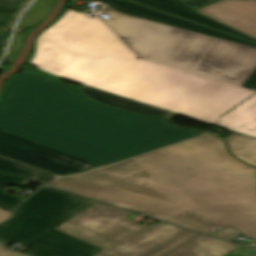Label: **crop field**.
<instances>
[{
    "label": "crop field",
    "mask_w": 256,
    "mask_h": 256,
    "mask_svg": "<svg viewBox=\"0 0 256 256\" xmlns=\"http://www.w3.org/2000/svg\"><path fill=\"white\" fill-rule=\"evenodd\" d=\"M0 172L13 176L46 183L53 177L13 161L0 157Z\"/></svg>",
    "instance_id": "22f410ed"
},
{
    "label": "crop field",
    "mask_w": 256,
    "mask_h": 256,
    "mask_svg": "<svg viewBox=\"0 0 256 256\" xmlns=\"http://www.w3.org/2000/svg\"><path fill=\"white\" fill-rule=\"evenodd\" d=\"M0 256H24V255L13 253L5 249L2 245H0Z\"/></svg>",
    "instance_id": "92a150f3"
},
{
    "label": "crop field",
    "mask_w": 256,
    "mask_h": 256,
    "mask_svg": "<svg viewBox=\"0 0 256 256\" xmlns=\"http://www.w3.org/2000/svg\"><path fill=\"white\" fill-rule=\"evenodd\" d=\"M102 22L139 58L241 86L256 67V48L120 14L108 5Z\"/></svg>",
    "instance_id": "412701ff"
},
{
    "label": "crop field",
    "mask_w": 256,
    "mask_h": 256,
    "mask_svg": "<svg viewBox=\"0 0 256 256\" xmlns=\"http://www.w3.org/2000/svg\"><path fill=\"white\" fill-rule=\"evenodd\" d=\"M131 212L96 204L56 229L98 246L95 256H224L238 246L164 223L143 227Z\"/></svg>",
    "instance_id": "f4fd0767"
},
{
    "label": "crop field",
    "mask_w": 256,
    "mask_h": 256,
    "mask_svg": "<svg viewBox=\"0 0 256 256\" xmlns=\"http://www.w3.org/2000/svg\"><path fill=\"white\" fill-rule=\"evenodd\" d=\"M28 64L210 124L255 93L141 61L98 19L69 9L38 35Z\"/></svg>",
    "instance_id": "34b2d1b8"
},
{
    "label": "crop field",
    "mask_w": 256,
    "mask_h": 256,
    "mask_svg": "<svg viewBox=\"0 0 256 256\" xmlns=\"http://www.w3.org/2000/svg\"><path fill=\"white\" fill-rule=\"evenodd\" d=\"M202 133L83 98L77 89L23 71L0 105V155L56 175L112 164Z\"/></svg>",
    "instance_id": "ac0d7876"
},
{
    "label": "crop field",
    "mask_w": 256,
    "mask_h": 256,
    "mask_svg": "<svg viewBox=\"0 0 256 256\" xmlns=\"http://www.w3.org/2000/svg\"><path fill=\"white\" fill-rule=\"evenodd\" d=\"M196 12L256 39V0H222Z\"/></svg>",
    "instance_id": "d8731c3e"
},
{
    "label": "crop field",
    "mask_w": 256,
    "mask_h": 256,
    "mask_svg": "<svg viewBox=\"0 0 256 256\" xmlns=\"http://www.w3.org/2000/svg\"><path fill=\"white\" fill-rule=\"evenodd\" d=\"M10 215H11L10 213H7L0 209V222L8 219L10 217Z\"/></svg>",
    "instance_id": "dafd665d"
},
{
    "label": "crop field",
    "mask_w": 256,
    "mask_h": 256,
    "mask_svg": "<svg viewBox=\"0 0 256 256\" xmlns=\"http://www.w3.org/2000/svg\"><path fill=\"white\" fill-rule=\"evenodd\" d=\"M102 1L106 4H108L110 7L113 9L132 16L168 24L171 26L179 27L182 29L250 45V46H255V44L249 43L247 41L235 38L233 36L220 33L214 30H210L201 26H198L196 24L181 20L179 18L164 14L162 12L144 7L142 5L126 1V0H99ZM242 87L251 89L256 91V68L253 70V72L250 74V76L246 79V81L243 83Z\"/></svg>",
    "instance_id": "e52e79f7"
},
{
    "label": "crop field",
    "mask_w": 256,
    "mask_h": 256,
    "mask_svg": "<svg viewBox=\"0 0 256 256\" xmlns=\"http://www.w3.org/2000/svg\"><path fill=\"white\" fill-rule=\"evenodd\" d=\"M180 1L190 6L191 8L195 9V8L210 4L217 0H180Z\"/></svg>",
    "instance_id": "bc2a9ffb"
},
{
    "label": "crop field",
    "mask_w": 256,
    "mask_h": 256,
    "mask_svg": "<svg viewBox=\"0 0 256 256\" xmlns=\"http://www.w3.org/2000/svg\"><path fill=\"white\" fill-rule=\"evenodd\" d=\"M95 203L43 187L0 225V241L24 244L33 249L27 254L34 256H94L102 249L54 228Z\"/></svg>",
    "instance_id": "dd49c442"
},
{
    "label": "crop field",
    "mask_w": 256,
    "mask_h": 256,
    "mask_svg": "<svg viewBox=\"0 0 256 256\" xmlns=\"http://www.w3.org/2000/svg\"><path fill=\"white\" fill-rule=\"evenodd\" d=\"M28 183V180L0 173V191L6 184L27 186ZM22 200V198L8 196L0 192V208L7 212H11V209L19 204Z\"/></svg>",
    "instance_id": "d9b57169"
},
{
    "label": "crop field",
    "mask_w": 256,
    "mask_h": 256,
    "mask_svg": "<svg viewBox=\"0 0 256 256\" xmlns=\"http://www.w3.org/2000/svg\"><path fill=\"white\" fill-rule=\"evenodd\" d=\"M215 125L256 137V94L217 119Z\"/></svg>",
    "instance_id": "28ad6ade"
},
{
    "label": "crop field",
    "mask_w": 256,
    "mask_h": 256,
    "mask_svg": "<svg viewBox=\"0 0 256 256\" xmlns=\"http://www.w3.org/2000/svg\"><path fill=\"white\" fill-rule=\"evenodd\" d=\"M225 256H256V251L239 247Z\"/></svg>",
    "instance_id": "4a817a6b"
},
{
    "label": "crop field",
    "mask_w": 256,
    "mask_h": 256,
    "mask_svg": "<svg viewBox=\"0 0 256 256\" xmlns=\"http://www.w3.org/2000/svg\"><path fill=\"white\" fill-rule=\"evenodd\" d=\"M30 0H0V30L9 31L20 11Z\"/></svg>",
    "instance_id": "cbeb9de0"
},
{
    "label": "crop field",
    "mask_w": 256,
    "mask_h": 256,
    "mask_svg": "<svg viewBox=\"0 0 256 256\" xmlns=\"http://www.w3.org/2000/svg\"><path fill=\"white\" fill-rule=\"evenodd\" d=\"M25 35L26 34L19 37H15V36L13 37L6 62L12 63L14 58L19 54Z\"/></svg>",
    "instance_id": "733c2abd"
},
{
    "label": "crop field",
    "mask_w": 256,
    "mask_h": 256,
    "mask_svg": "<svg viewBox=\"0 0 256 256\" xmlns=\"http://www.w3.org/2000/svg\"><path fill=\"white\" fill-rule=\"evenodd\" d=\"M131 1L256 42V40L249 38L250 36L247 37L243 34H240L241 32L238 33L239 31L236 32L207 17H204L196 13L195 11L191 10L190 8H188L178 0H131Z\"/></svg>",
    "instance_id": "3316defc"
},
{
    "label": "crop field",
    "mask_w": 256,
    "mask_h": 256,
    "mask_svg": "<svg viewBox=\"0 0 256 256\" xmlns=\"http://www.w3.org/2000/svg\"><path fill=\"white\" fill-rule=\"evenodd\" d=\"M229 151L236 158L244 161L250 166H256V140L240 135L233 134L224 139Z\"/></svg>",
    "instance_id": "d1516ede"
},
{
    "label": "crop field",
    "mask_w": 256,
    "mask_h": 256,
    "mask_svg": "<svg viewBox=\"0 0 256 256\" xmlns=\"http://www.w3.org/2000/svg\"><path fill=\"white\" fill-rule=\"evenodd\" d=\"M80 89L88 98L94 99L102 104L109 105L113 108L129 111L143 116H163L172 119L175 115V113L164 111L85 85L80 87Z\"/></svg>",
    "instance_id": "5a996713"
},
{
    "label": "crop field",
    "mask_w": 256,
    "mask_h": 256,
    "mask_svg": "<svg viewBox=\"0 0 256 256\" xmlns=\"http://www.w3.org/2000/svg\"><path fill=\"white\" fill-rule=\"evenodd\" d=\"M7 41H8L7 36L0 35V60H1L3 52L5 50V46H6Z\"/></svg>",
    "instance_id": "214f88e0"
},
{
    "label": "crop field",
    "mask_w": 256,
    "mask_h": 256,
    "mask_svg": "<svg viewBox=\"0 0 256 256\" xmlns=\"http://www.w3.org/2000/svg\"><path fill=\"white\" fill-rule=\"evenodd\" d=\"M255 172L205 134L49 185L210 235L235 228L256 242Z\"/></svg>",
    "instance_id": "8a807250"
},
{
    "label": "crop field",
    "mask_w": 256,
    "mask_h": 256,
    "mask_svg": "<svg viewBox=\"0 0 256 256\" xmlns=\"http://www.w3.org/2000/svg\"><path fill=\"white\" fill-rule=\"evenodd\" d=\"M53 2L54 0H36L20 20L16 30H20L21 27L33 26L46 18Z\"/></svg>",
    "instance_id": "5142ce71"
}]
</instances>
